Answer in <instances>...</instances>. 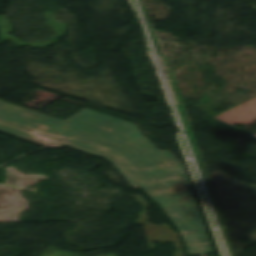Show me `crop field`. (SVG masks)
Listing matches in <instances>:
<instances>
[{
	"label": "crop field",
	"instance_id": "crop-field-1",
	"mask_svg": "<svg viewBox=\"0 0 256 256\" xmlns=\"http://www.w3.org/2000/svg\"><path fill=\"white\" fill-rule=\"evenodd\" d=\"M117 123L132 178L171 216L190 254L211 253L184 166L168 150L160 151L136 124Z\"/></svg>",
	"mask_w": 256,
	"mask_h": 256
},
{
	"label": "crop field",
	"instance_id": "crop-field-2",
	"mask_svg": "<svg viewBox=\"0 0 256 256\" xmlns=\"http://www.w3.org/2000/svg\"><path fill=\"white\" fill-rule=\"evenodd\" d=\"M0 119L58 139H63V141L0 121V132L2 133L24 140L30 137H38L46 141L63 144L95 154L107 159L132 183L131 178L112 157L65 142L68 141L99 152H105L115 157L120 165L130 174L116 119L114 117L83 109L63 121L0 100Z\"/></svg>",
	"mask_w": 256,
	"mask_h": 256
},
{
	"label": "crop field",
	"instance_id": "crop-field-3",
	"mask_svg": "<svg viewBox=\"0 0 256 256\" xmlns=\"http://www.w3.org/2000/svg\"><path fill=\"white\" fill-rule=\"evenodd\" d=\"M27 141H30V142L35 143V144H38V145L43 146V147H45V146H47L49 144H53V143H50V142H46V141L40 140L38 138H31V139H29Z\"/></svg>",
	"mask_w": 256,
	"mask_h": 256
},
{
	"label": "crop field",
	"instance_id": "crop-field-4",
	"mask_svg": "<svg viewBox=\"0 0 256 256\" xmlns=\"http://www.w3.org/2000/svg\"><path fill=\"white\" fill-rule=\"evenodd\" d=\"M134 185H135V188H137L138 186L135 184V182L133 181Z\"/></svg>",
	"mask_w": 256,
	"mask_h": 256
}]
</instances>
